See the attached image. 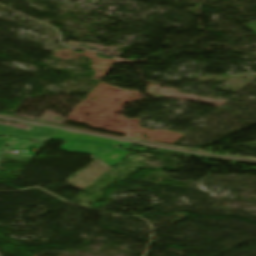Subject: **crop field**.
<instances>
[{"label": "crop field", "instance_id": "1", "mask_svg": "<svg viewBox=\"0 0 256 256\" xmlns=\"http://www.w3.org/2000/svg\"><path fill=\"white\" fill-rule=\"evenodd\" d=\"M60 149L66 150L68 152L100 156L113 148L95 142L71 141L67 142V144H62Z\"/></svg>", "mask_w": 256, "mask_h": 256}, {"label": "crop field", "instance_id": "2", "mask_svg": "<svg viewBox=\"0 0 256 256\" xmlns=\"http://www.w3.org/2000/svg\"><path fill=\"white\" fill-rule=\"evenodd\" d=\"M54 132L55 131L53 130H48L46 128H41V127H33L31 130L27 132V131L0 125V135L9 134V135H18L22 137H32L40 140H47L50 138V136Z\"/></svg>", "mask_w": 256, "mask_h": 256}, {"label": "crop field", "instance_id": "3", "mask_svg": "<svg viewBox=\"0 0 256 256\" xmlns=\"http://www.w3.org/2000/svg\"><path fill=\"white\" fill-rule=\"evenodd\" d=\"M50 139H57V140H94L98 141L110 146L113 145H121L120 142L105 139V138H99V137H93V136H86V135H74L69 133H63L60 131H56ZM131 143H126L121 145L124 149H129Z\"/></svg>", "mask_w": 256, "mask_h": 256}, {"label": "crop field", "instance_id": "4", "mask_svg": "<svg viewBox=\"0 0 256 256\" xmlns=\"http://www.w3.org/2000/svg\"><path fill=\"white\" fill-rule=\"evenodd\" d=\"M127 154H129V152L115 149L100 158L103 159L110 166H114L121 159H123Z\"/></svg>", "mask_w": 256, "mask_h": 256}, {"label": "crop field", "instance_id": "5", "mask_svg": "<svg viewBox=\"0 0 256 256\" xmlns=\"http://www.w3.org/2000/svg\"><path fill=\"white\" fill-rule=\"evenodd\" d=\"M10 139H0V150Z\"/></svg>", "mask_w": 256, "mask_h": 256}]
</instances>
